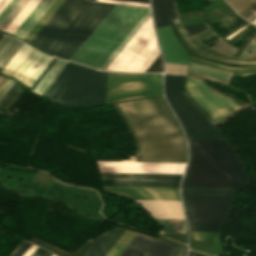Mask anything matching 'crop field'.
Wrapping results in <instances>:
<instances>
[{"mask_svg": "<svg viewBox=\"0 0 256 256\" xmlns=\"http://www.w3.org/2000/svg\"><path fill=\"white\" fill-rule=\"evenodd\" d=\"M135 234H136L135 232L131 233V235L128 237V239L125 241V243L122 245V247L118 250V252L115 254V256H120V254L123 252V250L129 244V242L132 240V238L135 236Z\"/></svg>", "mask_w": 256, "mask_h": 256, "instance_id": "crop-field-46", "label": "crop field"}, {"mask_svg": "<svg viewBox=\"0 0 256 256\" xmlns=\"http://www.w3.org/2000/svg\"><path fill=\"white\" fill-rule=\"evenodd\" d=\"M220 42H221V41H220ZM220 42H218L217 44H219ZM217 44H215L213 47H215ZM213 47H212V48H213ZM230 47H232V46L228 45L225 41H223V42H221L219 45H217L214 49H216V50H218L219 52L222 53V52H224L225 50L229 49ZM214 49H213V50H214ZM216 50H215V51H216ZM218 51H217V52H218ZM236 51H237V48L232 47V48H230L229 50L225 51V52L222 53V54L232 57Z\"/></svg>", "mask_w": 256, "mask_h": 256, "instance_id": "crop-field-35", "label": "crop field"}, {"mask_svg": "<svg viewBox=\"0 0 256 256\" xmlns=\"http://www.w3.org/2000/svg\"><path fill=\"white\" fill-rule=\"evenodd\" d=\"M41 0H29L27 4L21 9L11 23L6 27L4 32L13 34L26 17L32 12Z\"/></svg>", "mask_w": 256, "mask_h": 256, "instance_id": "crop-field-26", "label": "crop field"}, {"mask_svg": "<svg viewBox=\"0 0 256 256\" xmlns=\"http://www.w3.org/2000/svg\"><path fill=\"white\" fill-rule=\"evenodd\" d=\"M2 113H0V117H1Z\"/></svg>", "mask_w": 256, "mask_h": 256, "instance_id": "crop-field-64", "label": "crop field"}, {"mask_svg": "<svg viewBox=\"0 0 256 256\" xmlns=\"http://www.w3.org/2000/svg\"><path fill=\"white\" fill-rule=\"evenodd\" d=\"M256 39V37L247 45V47L245 48V50L249 47V45Z\"/></svg>", "mask_w": 256, "mask_h": 256, "instance_id": "crop-field-61", "label": "crop field"}, {"mask_svg": "<svg viewBox=\"0 0 256 256\" xmlns=\"http://www.w3.org/2000/svg\"><path fill=\"white\" fill-rule=\"evenodd\" d=\"M152 6L157 27L179 23L172 0H152Z\"/></svg>", "mask_w": 256, "mask_h": 256, "instance_id": "crop-field-19", "label": "crop field"}, {"mask_svg": "<svg viewBox=\"0 0 256 256\" xmlns=\"http://www.w3.org/2000/svg\"><path fill=\"white\" fill-rule=\"evenodd\" d=\"M227 1V0H226ZM229 1H231V0H229ZM229 1H227V2H229Z\"/></svg>", "mask_w": 256, "mask_h": 256, "instance_id": "crop-field-65", "label": "crop field"}, {"mask_svg": "<svg viewBox=\"0 0 256 256\" xmlns=\"http://www.w3.org/2000/svg\"><path fill=\"white\" fill-rule=\"evenodd\" d=\"M165 62L187 65L188 54L170 26L157 28Z\"/></svg>", "mask_w": 256, "mask_h": 256, "instance_id": "crop-field-14", "label": "crop field"}, {"mask_svg": "<svg viewBox=\"0 0 256 256\" xmlns=\"http://www.w3.org/2000/svg\"><path fill=\"white\" fill-rule=\"evenodd\" d=\"M100 172L182 174L186 164L96 161Z\"/></svg>", "mask_w": 256, "mask_h": 256, "instance_id": "crop-field-9", "label": "crop field"}, {"mask_svg": "<svg viewBox=\"0 0 256 256\" xmlns=\"http://www.w3.org/2000/svg\"><path fill=\"white\" fill-rule=\"evenodd\" d=\"M95 1L149 7V4H145V3L120 1V0H95Z\"/></svg>", "mask_w": 256, "mask_h": 256, "instance_id": "crop-field-40", "label": "crop field"}, {"mask_svg": "<svg viewBox=\"0 0 256 256\" xmlns=\"http://www.w3.org/2000/svg\"><path fill=\"white\" fill-rule=\"evenodd\" d=\"M212 33H214L213 31H209V32H207V33H205V34H203V35H201V36H198V37H196L198 40H200V39H202V38H204V37H206V36H208V35H210V34H212Z\"/></svg>", "mask_w": 256, "mask_h": 256, "instance_id": "crop-field-55", "label": "crop field"}, {"mask_svg": "<svg viewBox=\"0 0 256 256\" xmlns=\"http://www.w3.org/2000/svg\"><path fill=\"white\" fill-rule=\"evenodd\" d=\"M31 244L26 243L22 241L11 253L10 256H21L29 247Z\"/></svg>", "mask_w": 256, "mask_h": 256, "instance_id": "crop-field-39", "label": "crop field"}, {"mask_svg": "<svg viewBox=\"0 0 256 256\" xmlns=\"http://www.w3.org/2000/svg\"><path fill=\"white\" fill-rule=\"evenodd\" d=\"M43 252L44 250L38 247L31 256H41Z\"/></svg>", "mask_w": 256, "mask_h": 256, "instance_id": "crop-field-54", "label": "crop field"}, {"mask_svg": "<svg viewBox=\"0 0 256 256\" xmlns=\"http://www.w3.org/2000/svg\"><path fill=\"white\" fill-rule=\"evenodd\" d=\"M154 218L185 219L181 201L135 200Z\"/></svg>", "mask_w": 256, "mask_h": 256, "instance_id": "crop-field-15", "label": "crop field"}, {"mask_svg": "<svg viewBox=\"0 0 256 256\" xmlns=\"http://www.w3.org/2000/svg\"><path fill=\"white\" fill-rule=\"evenodd\" d=\"M104 191L127 199L180 200L178 188L112 187L103 186Z\"/></svg>", "mask_w": 256, "mask_h": 256, "instance_id": "crop-field-12", "label": "crop field"}, {"mask_svg": "<svg viewBox=\"0 0 256 256\" xmlns=\"http://www.w3.org/2000/svg\"><path fill=\"white\" fill-rule=\"evenodd\" d=\"M148 10L115 5L70 60L99 69Z\"/></svg>", "mask_w": 256, "mask_h": 256, "instance_id": "crop-field-4", "label": "crop field"}, {"mask_svg": "<svg viewBox=\"0 0 256 256\" xmlns=\"http://www.w3.org/2000/svg\"><path fill=\"white\" fill-rule=\"evenodd\" d=\"M5 80H6V78L0 76V87H1V85L4 83Z\"/></svg>", "mask_w": 256, "mask_h": 256, "instance_id": "crop-field-57", "label": "crop field"}, {"mask_svg": "<svg viewBox=\"0 0 256 256\" xmlns=\"http://www.w3.org/2000/svg\"><path fill=\"white\" fill-rule=\"evenodd\" d=\"M190 61L195 62V63H199V64H203V65H207V66H211V67H215V68H219V69H223V70H227V71H231V72L234 73L233 77L244 76V75H256V70L233 71V70H238V69L256 68V66L255 67H243V68H229V67H225V66L205 62V61L193 58V57H191Z\"/></svg>", "mask_w": 256, "mask_h": 256, "instance_id": "crop-field-28", "label": "crop field"}, {"mask_svg": "<svg viewBox=\"0 0 256 256\" xmlns=\"http://www.w3.org/2000/svg\"><path fill=\"white\" fill-rule=\"evenodd\" d=\"M177 31L180 34L181 40L183 44L193 53L208 57L211 59H215L221 62L230 63V64H239V65H256V61L253 62H246V61H236L232 60L223 56H220L213 51L209 50L208 48L202 46L200 43H198L195 39H193L189 34L183 30V28L180 25H175Z\"/></svg>", "mask_w": 256, "mask_h": 256, "instance_id": "crop-field-17", "label": "crop field"}, {"mask_svg": "<svg viewBox=\"0 0 256 256\" xmlns=\"http://www.w3.org/2000/svg\"><path fill=\"white\" fill-rule=\"evenodd\" d=\"M151 15L150 10L142 18V20L136 25V27L130 32V34L125 38V40L119 45V47L113 52V54L108 58V60L100 68L104 70L106 66L112 61V59L118 54V52L124 47V45L130 40V38L136 33V31L142 26V24L148 19Z\"/></svg>", "mask_w": 256, "mask_h": 256, "instance_id": "crop-field-30", "label": "crop field"}, {"mask_svg": "<svg viewBox=\"0 0 256 256\" xmlns=\"http://www.w3.org/2000/svg\"><path fill=\"white\" fill-rule=\"evenodd\" d=\"M113 6L65 0L30 43L69 60Z\"/></svg>", "mask_w": 256, "mask_h": 256, "instance_id": "crop-field-2", "label": "crop field"}, {"mask_svg": "<svg viewBox=\"0 0 256 256\" xmlns=\"http://www.w3.org/2000/svg\"><path fill=\"white\" fill-rule=\"evenodd\" d=\"M245 23L246 21L234 12L223 19L211 23V25L218 33H220L223 36Z\"/></svg>", "mask_w": 256, "mask_h": 256, "instance_id": "crop-field-25", "label": "crop field"}, {"mask_svg": "<svg viewBox=\"0 0 256 256\" xmlns=\"http://www.w3.org/2000/svg\"><path fill=\"white\" fill-rule=\"evenodd\" d=\"M185 248L177 246L170 256H184Z\"/></svg>", "mask_w": 256, "mask_h": 256, "instance_id": "crop-field-49", "label": "crop field"}, {"mask_svg": "<svg viewBox=\"0 0 256 256\" xmlns=\"http://www.w3.org/2000/svg\"><path fill=\"white\" fill-rule=\"evenodd\" d=\"M102 180L179 182L182 175L100 173Z\"/></svg>", "mask_w": 256, "mask_h": 256, "instance_id": "crop-field-18", "label": "crop field"}, {"mask_svg": "<svg viewBox=\"0 0 256 256\" xmlns=\"http://www.w3.org/2000/svg\"><path fill=\"white\" fill-rule=\"evenodd\" d=\"M64 0H56L53 5L48 9V11L42 16V18L37 22V24L31 29V31L24 38L27 41H31L32 38L37 34V32L42 28V26L47 22V20L53 15V13L58 9V7L63 3Z\"/></svg>", "mask_w": 256, "mask_h": 256, "instance_id": "crop-field-27", "label": "crop field"}, {"mask_svg": "<svg viewBox=\"0 0 256 256\" xmlns=\"http://www.w3.org/2000/svg\"><path fill=\"white\" fill-rule=\"evenodd\" d=\"M239 1H241V0H236L235 2H233L232 4H230L231 6L232 5H234V4H236V3H238ZM248 0H243V1H241L240 3H238V4H236L235 6H233V9L234 8H236L237 6H239V5H241V4H243V3H245V2H247ZM255 0H250V1H248L247 3H245V4H243V5H241V6H239V7H237L236 9H234L237 13L238 12H240L241 10H243L245 7H247L248 5H250L252 2H254Z\"/></svg>", "mask_w": 256, "mask_h": 256, "instance_id": "crop-field-42", "label": "crop field"}, {"mask_svg": "<svg viewBox=\"0 0 256 256\" xmlns=\"http://www.w3.org/2000/svg\"><path fill=\"white\" fill-rule=\"evenodd\" d=\"M176 245L137 233L121 256H169Z\"/></svg>", "mask_w": 256, "mask_h": 256, "instance_id": "crop-field-13", "label": "crop field"}, {"mask_svg": "<svg viewBox=\"0 0 256 256\" xmlns=\"http://www.w3.org/2000/svg\"><path fill=\"white\" fill-rule=\"evenodd\" d=\"M104 236V233L100 234L98 238L95 240V242L92 244V246L89 248V250L86 252L84 256H89L90 253L93 251V249L96 247L98 242L101 240V238Z\"/></svg>", "mask_w": 256, "mask_h": 256, "instance_id": "crop-field-48", "label": "crop field"}, {"mask_svg": "<svg viewBox=\"0 0 256 256\" xmlns=\"http://www.w3.org/2000/svg\"><path fill=\"white\" fill-rule=\"evenodd\" d=\"M255 50H256V48L252 51L250 56H249V53L243 51V53L240 55L239 59H247L248 56H249L248 59H250V57L252 56V54L254 53Z\"/></svg>", "mask_w": 256, "mask_h": 256, "instance_id": "crop-field-52", "label": "crop field"}, {"mask_svg": "<svg viewBox=\"0 0 256 256\" xmlns=\"http://www.w3.org/2000/svg\"><path fill=\"white\" fill-rule=\"evenodd\" d=\"M191 231L221 232L233 210L235 195H183Z\"/></svg>", "mask_w": 256, "mask_h": 256, "instance_id": "crop-field-7", "label": "crop field"}, {"mask_svg": "<svg viewBox=\"0 0 256 256\" xmlns=\"http://www.w3.org/2000/svg\"><path fill=\"white\" fill-rule=\"evenodd\" d=\"M153 33L154 29L150 16L105 70L123 71Z\"/></svg>", "mask_w": 256, "mask_h": 256, "instance_id": "crop-field-11", "label": "crop field"}, {"mask_svg": "<svg viewBox=\"0 0 256 256\" xmlns=\"http://www.w3.org/2000/svg\"><path fill=\"white\" fill-rule=\"evenodd\" d=\"M189 256H202V255H198V254H194V253H190Z\"/></svg>", "mask_w": 256, "mask_h": 256, "instance_id": "crop-field-60", "label": "crop field"}, {"mask_svg": "<svg viewBox=\"0 0 256 256\" xmlns=\"http://www.w3.org/2000/svg\"><path fill=\"white\" fill-rule=\"evenodd\" d=\"M19 83H14L13 86L10 88V90L6 93V95L3 97V99L0 101V106L4 103V101L7 99V97L10 95V93L15 89V87Z\"/></svg>", "mask_w": 256, "mask_h": 256, "instance_id": "crop-field-50", "label": "crop field"}, {"mask_svg": "<svg viewBox=\"0 0 256 256\" xmlns=\"http://www.w3.org/2000/svg\"><path fill=\"white\" fill-rule=\"evenodd\" d=\"M185 76L167 74L165 93L189 140H226L205 113L182 91Z\"/></svg>", "mask_w": 256, "mask_h": 256, "instance_id": "crop-field-6", "label": "crop field"}, {"mask_svg": "<svg viewBox=\"0 0 256 256\" xmlns=\"http://www.w3.org/2000/svg\"><path fill=\"white\" fill-rule=\"evenodd\" d=\"M108 73L68 62L43 96L81 108L105 103Z\"/></svg>", "mask_w": 256, "mask_h": 256, "instance_id": "crop-field-5", "label": "crop field"}, {"mask_svg": "<svg viewBox=\"0 0 256 256\" xmlns=\"http://www.w3.org/2000/svg\"><path fill=\"white\" fill-rule=\"evenodd\" d=\"M184 27L192 35L209 29V26L206 24V22L195 24V25H188V26H184Z\"/></svg>", "mask_w": 256, "mask_h": 256, "instance_id": "crop-field-37", "label": "crop field"}, {"mask_svg": "<svg viewBox=\"0 0 256 256\" xmlns=\"http://www.w3.org/2000/svg\"><path fill=\"white\" fill-rule=\"evenodd\" d=\"M131 231L126 230L125 233L122 235V237L118 240V242L115 244V246L111 249V251L108 253L107 256H114V254L117 252V250L121 247V245L124 243V241L127 239V237L130 235Z\"/></svg>", "mask_w": 256, "mask_h": 256, "instance_id": "crop-field-38", "label": "crop field"}, {"mask_svg": "<svg viewBox=\"0 0 256 256\" xmlns=\"http://www.w3.org/2000/svg\"><path fill=\"white\" fill-rule=\"evenodd\" d=\"M255 12H256V11H255ZM255 12H254V13H255ZM254 13H252V14H254ZM252 14H251V15H252ZM255 14H256V13H255ZM255 14H254V15H255ZM251 15H250V16H251ZM254 15H253V16H254ZM250 16H249V17H250ZM255 16H256V15H255ZM255 16H254V17H255ZM251 17H252V16H251ZM251 17H250V18H251ZM254 17H252L251 19H253ZM247 18H248V17H247ZM247 18H246V19H247ZM250 18H249V19H250ZM251 19H250V20H251ZM255 19H256V18H254L253 20H255ZM247 20H248V19H247ZM250 20H248V21H250ZM253 20H252V21H253ZM252 21H251V22H252Z\"/></svg>", "mask_w": 256, "mask_h": 256, "instance_id": "crop-field-59", "label": "crop field"}, {"mask_svg": "<svg viewBox=\"0 0 256 256\" xmlns=\"http://www.w3.org/2000/svg\"><path fill=\"white\" fill-rule=\"evenodd\" d=\"M28 0H21L15 8L10 12V14L4 19L0 24V31H3L5 27L10 23V21L15 17V15L20 11V9L25 5Z\"/></svg>", "mask_w": 256, "mask_h": 256, "instance_id": "crop-field-33", "label": "crop field"}, {"mask_svg": "<svg viewBox=\"0 0 256 256\" xmlns=\"http://www.w3.org/2000/svg\"><path fill=\"white\" fill-rule=\"evenodd\" d=\"M256 56V52L253 54V56L251 57V59H254ZM256 59V58H255Z\"/></svg>", "mask_w": 256, "mask_h": 256, "instance_id": "crop-field-62", "label": "crop field"}, {"mask_svg": "<svg viewBox=\"0 0 256 256\" xmlns=\"http://www.w3.org/2000/svg\"><path fill=\"white\" fill-rule=\"evenodd\" d=\"M54 1L55 0H42L33 10V12L27 17V19L21 24V26L16 30L14 35L23 39Z\"/></svg>", "mask_w": 256, "mask_h": 256, "instance_id": "crop-field-20", "label": "crop field"}, {"mask_svg": "<svg viewBox=\"0 0 256 256\" xmlns=\"http://www.w3.org/2000/svg\"><path fill=\"white\" fill-rule=\"evenodd\" d=\"M51 256H54L53 254Z\"/></svg>", "mask_w": 256, "mask_h": 256, "instance_id": "crop-field-66", "label": "crop field"}, {"mask_svg": "<svg viewBox=\"0 0 256 256\" xmlns=\"http://www.w3.org/2000/svg\"><path fill=\"white\" fill-rule=\"evenodd\" d=\"M124 231L125 229L115 227L111 232H107L90 256H106Z\"/></svg>", "mask_w": 256, "mask_h": 256, "instance_id": "crop-field-22", "label": "crop field"}, {"mask_svg": "<svg viewBox=\"0 0 256 256\" xmlns=\"http://www.w3.org/2000/svg\"><path fill=\"white\" fill-rule=\"evenodd\" d=\"M10 2L11 0H0V14Z\"/></svg>", "mask_w": 256, "mask_h": 256, "instance_id": "crop-field-51", "label": "crop field"}, {"mask_svg": "<svg viewBox=\"0 0 256 256\" xmlns=\"http://www.w3.org/2000/svg\"><path fill=\"white\" fill-rule=\"evenodd\" d=\"M134 137L140 161L186 163L187 150L182 131L163 97L116 103Z\"/></svg>", "mask_w": 256, "mask_h": 256, "instance_id": "crop-field-1", "label": "crop field"}, {"mask_svg": "<svg viewBox=\"0 0 256 256\" xmlns=\"http://www.w3.org/2000/svg\"><path fill=\"white\" fill-rule=\"evenodd\" d=\"M66 61L56 59L37 86L34 88L33 92H36L40 95L46 90L48 86L53 82V80L57 77L63 67L66 65Z\"/></svg>", "mask_w": 256, "mask_h": 256, "instance_id": "crop-field-24", "label": "crop field"}, {"mask_svg": "<svg viewBox=\"0 0 256 256\" xmlns=\"http://www.w3.org/2000/svg\"><path fill=\"white\" fill-rule=\"evenodd\" d=\"M113 185L121 186H159V187H178L179 183H160V182H121L113 181Z\"/></svg>", "mask_w": 256, "mask_h": 256, "instance_id": "crop-field-31", "label": "crop field"}, {"mask_svg": "<svg viewBox=\"0 0 256 256\" xmlns=\"http://www.w3.org/2000/svg\"><path fill=\"white\" fill-rule=\"evenodd\" d=\"M221 233L191 232V239L220 240Z\"/></svg>", "mask_w": 256, "mask_h": 256, "instance_id": "crop-field-34", "label": "crop field"}, {"mask_svg": "<svg viewBox=\"0 0 256 256\" xmlns=\"http://www.w3.org/2000/svg\"><path fill=\"white\" fill-rule=\"evenodd\" d=\"M256 31V26L251 28L246 34H244L238 41H236L234 44L236 46H240L246 39H248L254 32Z\"/></svg>", "mask_w": 256, "mask_h": 256, "instance_id": "crop-field-44", "label": "crop field"}, {"mask_svg": "<svg viewBox=\"0 0 256 256\" xmlns=\"http://www.w3.org/2000/svg\"><path fill=\"white\" fill-rule=\"evenodd\" d=\"M189 73L197 74L200 76L208 77L222 82H228L231 72L191 63L189 64Z\"/></svg>", "mask_w": 256, "mask_h": 256, "instance_id": "crop-field-21", "label": "crop field"}, {"mask_svg": "<svg viewBox=\"0 0 256 256\" xmlns=\"http://www.w3.org/2000/svg\"><path fill=\"white\" fill-rule=\"evenodd\" d=\"M23 42L3 35L0 39V67L4 68Z\"/></svg>", "mask_w": 256, "mask_h": 256, "instance_id": "crop-field-23", "label": "crop field"}, {"mask_svg": "<svg viewBox=\"0 0 256 256\" xmlns=\"http://www.w3.org/2000/svg\"><path fill=\"white\" fill-rule=\"evenodd\" d=\"M255 46H256V40H255L254 43L247 49V51H252Z\"/></svg>", "mask_w": 256, "mask_h": 256, "instance_id": "crop-field-56", "label": "crop field"}, {"mask_svg": "<svg viewBox=\"0 0 256 256\" xmlns=\"http://www.w3.org/2000/svg\"><path fill=\"white\" fill-rule=\"evenodd\" d=\"M256 8V1L254 2V3H252L250 6H248L247 8H245L243 11H241L240 13H238V14H240L242 17H244L245 15H247L249 12H251L253 9H255ZM256 10V9H255ZM255 10H253V11H255ZM252 11V12H253ZM251 12V13H252ZM251 13H249L247 16H249ZM247 16H245V18L247 17ZM244 18V19H245Z\"/></svg>", "mask_w": 256, "mask_h": 256, "instance_id": "crop-field-45", "label": "crop field"}, {"mask_svg": "<svg viewBox=\"0 0 256 256\" xmlns=\"http://www.w3.org/2000/svg\"><path fill=\"white\" fill-rule=\"evenodd\" d=\"M2 37V34H0V38Z\"/></svg>", "mask_w": 256, "mask_h": 256, "instance_id": "crop-field-63", "label": "crop field"}, {"mask_svg": "<svg viewBox=\"0 0 256 256\" xmlns=\"http://www.w3.org/2000/svg\"><path fill=\"white\" fill-rule=\"evenodd\" d=\"M129 1H137V2H145V3H149V0H129Z\"/></svg>", "mask_w": 256, "mask_h": 256, "instance_id": "crop-field-58", "label": "crop field"}, {"mask_svg": "<svg viewBox=\"0 0 256 256\" xmlns=\"http://www.w3.org/2000/svg\"><path fill=\"white\" fill-rule=\"evenodd\" d=\"M160 74L109 73L106 103L162 95Z\"/></svg>", "mask_w": 256, "mask_h": 256, "instance_id": "crop-field-8", "label": "crop field"}, {"mask_svg": "<svg viewBox=\"0 0 256 256\" xmlns=\"http://www.w3.org/2000/svg\"><path fill=\"white\" fill-rule=\"evenodd\" d=\"M24 89L25 88L19 84L18 87L13 91V93L6 100V102L0 107V111L7 113Z\"/></svg>", "mask_w": 256, "mask_h": 256, "instance_id": "crop-field-32", "label": "crop field"}, {"mask_svg": "<svg viewBox=\"0 0 256 256\" xmlns=\"http://www.w3.org/2000/svg\"><path fill=\"white\" fill-rule=\"evenodd\" d=\"M219 40H221V38L216 34H212L200 41H202L203 43H205L206 45H208L209 47L214 45L215 43H217Z\"/></svg>", "mask_w": 256, "mask_h": 256, "instance_id": "crop-field-41", "label": "crop field"}, {"mask_svg": "<svg viewBox=\"0 0 256 256\" xmlns=\"http://www.w3.org/2000/svg\"><path fill=\"white\" fill-rule=\"evenodd\" d=\"M187 66L165 63V72L185 75Z\"/></svg>", "mask_w": 256, "mask_h": 256, "instance_id": "crop-field-36", "label": "crop field"}, {"mask_svg": "<svg viewBox=\"0 0 256 256\" xmlns=\"http://www.w3.org/2000/svg\"><path fill=\"white\" fill-rule=\"evenodd\" d=\"M13 83H14V80L8 78L7 81L2 85V87L0 88V100L5 95V93L9 90V88L12 86Z\"/></svg>", "mask_w": 256, "mask_h": 256, "instance_id": "crop-field-43", "label": "crop field"}, {"mask_svg": "<svg viewBox=\"0 0 256 256\" xmlns=\"http://www.w3.org/2000/svg\"><path fill=\"white\" fill-rule=\"evenodd\" d=\"M159 54L160 51L154 34L124 71L145 72Z\"/></svg>", "mask_w": 256, "mask_h": 256, "instance_id": "crop-field-16", "label": "crop field"}, {"mask_svg": "<svg viewBox=\"0 0 256 256\" xmlns=\"http://www.w3.org/2000/svg\"><path fill=\"white\" fill-rule=\"evenodd\" d=\"M191 161L183 187L243 188L249 178L228 141H190Z\"/></svg>", "mask_w": 256, "mask_h": 256, "instance_id": "crop-field-3", "label": "crop field"}, {"mask_svg": "<svg viewBox=\"0 0 256 256\" xmlns=\"http://www.w3.org/2000/svg\"><path fill=\"white\" fill-rule=\"evenodd\" d=\"M239 189L183 188V194H236Z\"/></svg>", "mask_w": 256, "mask_h": 256, "instance_id": "crop-field-29", "label": "crop field"}, {"mask_svg": "<svg viewBox=\"0 0 256 256\" xmlns=\"http://www.w3.org/2000/svg\"><path fill=\"white\" fill-rule=\"evenodd\" d=\"M37 246L32 245L23 256H30Z\"/></svg>", "mask_w": 256, "mask_h": 256, "instance_id": "crop-field-53", "label": "crop field"}, {"mask_svg": "<svg viewBox=\"0 0 256 256\" xmlns=\"http://www.w3.org/2000/svg\"><path fill=\"white\" fill-rule=\"evenodd\" d=\"M19 0H13L10 5L4 10V12L0 15V22L4 19V17L9 13V11L14 7V5L18 2Z\"/></svg>", "mask_w": 256, "mask_h": 256, "instance_id": "crop-field-47", "label": "crop field"}, {"mask_svg": "<svg viewBox=\"0 0 256 256\" xmlns=\"http://www.w3.org/2000/svg\"><path fill=\"white\" fill-rule=\"evenodd\" d=\"M51 59L23 43L7 66L38 78Z\"/></svg>", "mask_w": 256, "mask_h": 256, "instance_id": "crop-field-10", "label": "crop field"}]
</instances>
